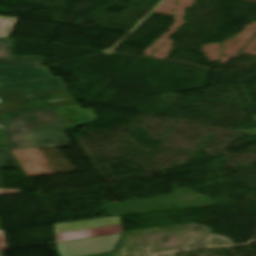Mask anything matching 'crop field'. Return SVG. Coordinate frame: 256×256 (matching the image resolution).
<instances>
[{
  "label": "crop field",
  "instance_id": "8a807250",
  "mask_svg": "<svg viewBox=\"0 0 256 256\" xmlns=\"http://www.w3.org/2000/svg\"><path fill=\"white\" fill-rule=\"evenodd\" d=\"M1 130L10 150L68 146V127L56 111L38 110L0 115Z\"/></svg>",
  "mask_w": 256,
  "mask_h": 256
},
{
  "label": "crop field",
  "instance_id": "ac0d7876",
  "mask_svg": "<svg viewBox=\"0 0 256 256\" xmlns=\"http://www.w3.org/2000/svg\"><path fill=\"white\" fill-rule=\"evenodd\" d=\"M14 87H21L26 95L66 89L45 67L0 65V89Z\"/></svg>",
  "mask_w": 256,
  "mask_h": 256
},
{
  "label": "crop field",
  "instance_id": "34b2d1b8",
  "mask_svg": "<svg viewBox=\"0 0 256 256\" xmlns=\"http://www.w3.org/2000/svg\"><path fill=\"white\" fill-rule=\"evenodd\" d=\"M14 40L0 38L1 65H28L39 66L42 57L12 56Z\"/></svg>",
  "mask_w": 256,
  "mask_h": 256
},
{
  "label": "crop field",
  "instance_id": "412701ff",
  "mask_svg": "<svg viewBox=\"0 0 256 256\" xmlns=\"http://www.w3.org/2000/svg\"><path fill=\"white\" fill-rule=\"evenodd\" d=\"M57 111L69 129L79 124L92 123L98 119L92 108L81 110L78 105L58 108Z\"/></svg>",
  "mask_w": 256,
  "mask_h": 256
},
{
  "label": "crop field",
  "instance_id": "f4fd0767",
  "mask_svg": "<svg viewBox=\"0 0 256 256\" xmlns=\"http://www.w3.org/2000/svg\"><path fill=\"white\" fill-rule=\"evenodd\" d=\"M122 233L121 225L55 234V243Z\"/></svg>",
  "mask_w": 256,
  "mask_h": 256
},
{
  "label": "crop field",
  "instance_id": "dd49c442",
  "mask_svg": "<svg viewBox=\"0 0 256 256\" xmlns=\"http://www.w3.org/2000/svg\"><path fill=\"white\" fill-rule=\"evenodd\" d=\"M14 167H19V165L9 153L7 147H1L0 148V169L14 168ZM0 184H2L1 178H0Z\"/></svg>",
  "mask_w": 256,
  "mask_h": 256
},
{
  "label": "crop field",
  "instance_id": "e52e79f7",
  "mask_svg": "<svg viewBox=\"0 0 256 256\" xmlns=\"http://www.w3.org/2000/svg\"><path fill=\"white\" fill-rule=\"evenodd\" d=\"M17 18L0 16V37L7 38Z\"/></svg>",
  "mask_w": 256,
  "mask_h": 256
},
{
  "label": "crop field",
  "instance_id": "d8731c3e",
  "mask_svg": "<svg viewBox=\"0 0 256 256\" xmlns=\"http://www.w3.org/2000/svg\"><path fill=\"white\" fill-rule=\"evenodd\" d=\"M8 248L4 233L0 230V250Z\"/></svg>",
  "mask_w": 256,
  "mask_h": 256
},
{
  "label": "crop field",
  "instance_id": "5a996713",
  "mask_svg": "<svg viewBox=\"0 0 256 256\" xmlns=\"http://www.w3.org/2000/svg\"><path fill=\"white\" fill-rule=\"evenodd\" d=\"M19 190H0V195L17 194Z\"/></svg>",
  "mask_w": 256,
  "mask_h": 256
},
{
  "label": "crop field",
  "instance_id": "3316defc",
  "mask_svg": "<svg viewBox=\"0 0 256 256\" xmlns=\"http://www.w3.org/2000/svg\"><path fill=\"white\" fill-rule=\"evenodd\" d=\"M0 229H2L1 224H0Z\"/></svg>",
  "mask_w": 256,
  "mask_h": 256
}]
</instances>
